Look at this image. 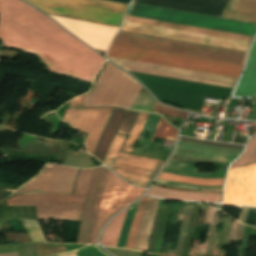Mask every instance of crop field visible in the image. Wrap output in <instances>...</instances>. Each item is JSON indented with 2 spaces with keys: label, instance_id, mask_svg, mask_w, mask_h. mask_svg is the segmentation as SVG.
I'll list each match as a JSON object with an SVG mask.
<instances>
[{
  "label": "crop field",
  "instance_id": "1",
  "mask_svg": "<svg viewBox=\"0 0 256 256\" xmlns=\"http://www.w3.org/2000/svg\"><path fill=\"white\" fill-rule=\"evenodd\" d=\"M4 46L38 55L53 71L92 81L105 59L19 0H0Z\"/></svg>",
  "mask_w": 256,
  "mask_h": 256
},
{
  "label": "crop field",
  "instance_id": "2",
  "mask_svg": "<svg viewBox=\"0 0 256 256\" xmlns=\"http://www.w3.org/2000/svg\"><path fill=\"white\" fill-rule=\"evenodd\" d=\"M145 191L128 185L106 167L93 169L77 243H97L105 222Z\"/></svg>",
  "mask_w": 256,
  "mask_h": 256
},
{
  "label": "crop field",
  "instance_id": "3",
  "mask_svg": "<svg viewBox=\"0 0 256 256\" xmlns=\"http://www.w3.org/2000/svg\"><path fill=\"white\" fill-rule=\"evenodd\" d=\"M124 20L249 41L248 43L246 41H241V40H235V39L127 22V21H124L121 26V30L123 31L135 32V33L243 50V51L246 50L247 43H248V47L246 51H248L249 45L253 38L250 36H244V35H238V34H232V33H226V32L214 31V30H207V29L171 24V23H164V22L128 17V16H125Z\"/></svg>",
  "mask_w": 256,
  "mask_h": 256
},
{
  "label": "crop field",
  "instance_id": "4",
  "mask_svg": "<svg viewBox=\"0 0 256 256\" xmlns=\"http://www.w3.org/2000/svg\"><path fill=\"white\" fill-rule=\"evenodd\" d=\"M92 169L81 170L74 195L55 193H25L7 200L8 206L37 204L39 220L79 221Z\"/></svg>",
  "mask_w": 256,
  "mask_h": 256
},
{
  "label": "crop field",
  "instance_id": "5",
  "mask_svg": "<svg viewBox=\"0 0 256 256\" xmlns=\"http://www.w3.org/2000/svg\"><path fill=\"white\" fill-rule=\"evenodd\" d=\"M114 44L234 63L243 64L245 53L243 51L129 33L119 31Z\"/></svg>",
  "mask_w": 256,
  "mask_h": 256
},
{
  "label": "crop field",
  "instance_id": "6",
  "mask_svg": "<svg viewBox=\"0 0 256 256\" xmlns=\"http://www.w3.org/2000/svg\"><path fill=\"white\" fill-rule=\"evenodd\" d=\"M109 57L229 76L238 78L242 67L240 65L120 46L111 45L107 54Z\"/></svg>",
  "mask_w": 256,
  "mask_h": 256
},
{
  "label": "crop field",
  "instance_id": "7",
  "mask_svg": "<svg viewBox=\"0 0 256 256\" xmlns=\"http://www.w3.org/2000/svg\"><path fill=\"white\" fill-rule=\"evenodd\" d=\"M51 16L118 27L125 4L102 0H26Z\"/></svg>",
  "mask_w": 256,
  "mask_h": 256
},
{
  "label": "crop field",
  "instance_id": "8",
  "mask_svg": "<svg viewBox=\"0 0 256 256\" xmlns=\"http://www.w3.org/2000/svg\"><path fill=\"white\" fill-rule=\"evenodd\" d=\"M141 88L131 76L108 62L84 106L130 109Z\"/></svg>",
  "mask_w": 256,
  "mask_h": 256
},
{
  "label": "crop field",
  "instance_id": "9",
  "mask_svg": "<svg viewBox=\"0 0 256 256\" xmlns=\"http://www.w3.org/2000/svg\"><path fill=\"white\" fill-rule=\"evenodd\" d=\"M126 15L254 36L256 25L131 4Z\"/></svg>",
  "mask_w": 256,
  "mask_h": 256
},
{
  "label": "crop field",
  "instance_id": "10",
  "mask_svg": "<svg viewBox=\"0 0 256 256\" xmlns=\"http://www.w3.org/2000/svg\"><path fill=\"white\" fill-rule=\"evenodd\" d=\"M252 163H256V134L230 169ZM223 203L256 207V164L228 172Z\"/></svg>",
  "mask_w": 256,
  "mask_h": 256
},
{
  "label": "crop field",
  "instance_id": "11",
  "mask_svg": "<svg viewBox=\"0 0 256 256\" xmlns=\"http://www.w3.org/2000/svg\"><path fill=\"white\" fill-rule=\"evenodd\" d=\"M126 138L116 135L103 164L129 182L148 187L163 161L120 152Z\"/></svg>",
  "mask_w": 256,
  "mask_h": 256
},
{
  "label": "crop field",
  "instance_id": "12",
  "mask_svg": "<svg viewBox=\"0 0 256 256\" xmlns=\"http://www.w3.org/2000/svg\"><path fill=\"white\" fill-rule=\"evenodd\" d=\"M109 59H111L119 66L129 71H135V72H141V73H147V74H153V75H159V76L231 87V88L234 87L237 81V79L235 78L145 64V63L115 59V58H109Z\"/></svg>",
  "mask_w": 256,
  "mask_h": 256
},
{
  "label": "crop field",
  "instance_id": "13",
  "mask_svg": "<svg viewBox=\"0 0 256 256\" xmlns=\"http://www.w3.org/2000/svg\"><path fill=\"white\" fill-rule=\"evenodd\" d=\"M77 170L76 168L59 165H46L37 176L18 189L14 194L28 191L72 193Z\"/></svg>",
  "mask_w": 256,
  "mask_h": 256
},
{
  "label": "crop field",
  "instance_id": "14",
  "mask_svg": "<svg viewBox=\"0 0 256 256\" xmlns=\"http://www.w3.org/2000/svg\"><path fill=\"white\" fill-rule=\"evenodd\" d=\"M93 48L106 50L118 28L52 17Z\"/></svg>",
  "mask_w": 256,
  "mask_h": 256
},
{
  "label": "crop field",
  "instance_id": "15",
  "mask_svg": "<svg viewBox=\"0 0 256 256\" xmlns=\"http://www.w3.org/2000/svg\"><path fill=\"white\" fill-rule=\"evenodd\" d=\"M228 0H133L134 3L220 17Z\"/></svg>",
  "mask_w": 256,
  "mask_h": 256
},
{
  "label": "crop field",
  "instance_id": "16",
  "mask_svg": "<svg viewBox=\"0 0 256 256\" xmlns=\"http://www.w3.org/2000/svg\"><path fill=\"white\" fill-rule=\"evenodd\" d=\"M87 94L70 101L62 120L88 133L100 108H83Z\"/></svg>",
  "mask_w": 256,
  "mask_h": 256
},
{
  "label": "crop field",
  "instance_id": "17",
  "mask_svg": "<svg viewBox=\"0 0 256 256\" xmlns=\"http://www.w3.org/2000/svg\"><path fill=\"white\" fill-rule=\"evenodd\" d=\"M158 202V199L148 198L133 249L146 250Z\"/></svg>",
  "mask_w": 256,
  "mask_h": 256
},
{
  "label": "crop field",
  "instance_id": "18",
  "mask_svg": "<svg viewBox=\"0 0 256 256\" xmlns=\"http://www.w3.org/2000/svg\"><path fill=\"white\" fill-rule=\"evenodd\" d=\"M256 94V39L251 49L247 66L234 92V96Z\"/></svg>",
  "mask_w": 256,
  "mask_h": 256
},
{
  "label": "crop field",
  "instance_id": "19",
  "mask_svg": "<svg viewBox=\"0 0 256 256\" xmlns=\"http://www.w3.org/2000/svg\"><path fill=\"white\" fill-rule=\"evenodd\" d=\"M150 196L176 199V200H188V201H202V202H220L221 194H208V193H191L183 191L169 190L153 186L147 193Z\"/></svg>",
  "mask_w": 256,
  "mask_h": 256
},
{
  "label": "crop field",
  "instance_id": "20",
  "mask_svg": "<svg viewBox=\"0 0 256 256\" xmlns=\"http://www.w3.org/2000/svg\"><path fill=\"white\" fill-rule=\"evenodd\" d=\"M221 17L256 22V0H230Z\"/></svg>",
  "mask_w": 256,
  "mask_h": 256
},
{
  "label": "crop field",
  "instance_id": "21",
  "mask_svg": "<svg viewBox=\"0 0 256 256\" xmlns=\"http://www.w3.org/2000/svg\"><path fill=\"white\" fill-rule=\"evenodd\" d=\"M112 109L113 108H101L97 115L94 125H93V127L90 131V134L86 140L87 149L90 154H93V151H94L95 145L98 141V138L100 136V133H101L104 125L106 124Z\"/></svg>",
  "mask_w": 256,
  "mask_h": 256
},
{
  "label": "crop field",
  "instance_id": "22",
  "mask_svg": "<svg viewBox=\"0 0 256 256\" xmlns=\"http://www.w3.org/2000/svg\"><path fill=\"white\" fill-rule=\"evenodd\" d=\"M127 209L116 216L105 229L102 244L116 247Z\"/></svg>",
  "mask_w": 256,
  "mask_h": 256
},
{
  "label": "crop field",
  "instance_id": "23",
  "mask_svg": "<svg viewBox=\"0 0 256 256\" xmlns=\"http://www.w3.org/2000/svg\"><path fill=\"white\" fill-rule=\"evenodd\" d=\"M148 115L149 114H144V113L139 114L122 151L132 153L134 142L138 139L139 134L144 126V123Z\"/></svg>",
  "mask_w": 256,
  "mask_h": 256
},
{
  "label": "crop field",
  "instance_id": "24",
  "mask_svg": "<svg viewBox=\"0 0 256 256\" xmlns=\"http://www.w3.org/2000/svg\"><path fill=\"white\" fill-rule=\"evenodd\" d=\"M158 178L196 185H222L223 181V179H195L164 173H161Z\"/></svg>",
  "mask_w": 256,
  "mask_h": 256
},
{
  "label": "crop field",
  "instance_id": "25",
  "mask_svg": "<svg viewBox=\"0 0 256 256\" xmlns=\"http://www.w3.org/2000/svg\"><path fill=\"white\" fill-rule=\"evenodd\" d=\"M147 198H148L147 196L142 197V199L139 203V206H138V209H137V212H136V215H135V219H134V222H133V225H132V228H131V231H130L128 241H127V244H126L125 248L132 249V247H133L135 235H136V232H137V229H138L141 217H142V213H143Z\"/></svg>",
  "mask_w": 256,
  "mask_h": 256
},
{
  "label": "crop field",
  "instance_id": "26",
  "mask_svg": "<svg viewBox=\"0 0 256 256\" xmlns=\"http://www.w3.org/2000/svg\"><path fill=\"white\" fill-rule=\"evenodd\" d=\"M137 204H138V201L135 204H133L131 207H129V209H128V212H127V215H126V218H125L122 230H121V234H120V238H119L117 247L124 248V246H125L128 230H129L133 215L135 213Z\"/></svg>",
  "mask_w": 256,
  "mask_h": 256
},
{
  "label": "crop field",
  "instance_id": "27",
  "mask_svg": "<svg viewBox=\"0 0 256 256\" xmlns=\"http://www.w3.org/2000/svg\"><path fill=\"white\" fill-rule=\"evenodd\" d=\"M176 132H177L176 129H174L172 126L166 124L163 121V119H161V121H160V123L157 127V131H156L153 139L151 140V142L154 141L155 137L174 141L175 136H176Z\"/></svg>",
  "mask_w": 256,
  "mask_h": 256
},
{
  "label": "crop field",
  "instance_id": "28",
  "mask_svg": "<svg viewBox=\"0 0 256 256\" xmlns=\"http://www.w3.org/2000/svg\"><path fill=\"white\" fill-rule=\"evenodd\" d=\"M77 256H110L99 245H90L76 251Z\"/></svg>",
  "mask_w": 256,
  "mask_h": 256
},
{
  "label": "crop field",
  "instance_id": "29",
  "mask_svg": "<svg viewBox=\"0 0 256 256\" xmlns=\"http://www.w3.org/2000/svg\"><path fill=\"white\" fill-rule=\"evenodd\" d=\"M153 111H156V112H159V113H162V114H166V115L183 117V118H186L187 115H188L187 113H184V112L178 111L176 109L158 104L157 102H156V104L153 108Z\"/></svg>",
  "mask_w": 256,
  "mask_h": 256
},
{
  "label": "crop field",
  "instance_id": "30",
  "mask_svg": "<svg viewBox=\"0 0 256 256\" xmlns=\"http://www.w3.org/2000/svg\"><path fill=\"white\" fill-rule=\"evenodd\" d=\"M17 235L22 243H31V240L28 234H17Z\"/></svg>",
  "mask_w": 256,
  "mask_h": 256
},
{
  "label": "crop field",
  "instance_id": "31",
  "mask_svg": "<svg viewBox=\"0 0 256 256\" xmlns=\"http://www.w3.org/2000/svg\"><path fill=\"white\" fill-rule=\"evenodd\" d=\"M237 136L236 134L232 142L244 144L246 139L237 138Z\"/></svg>",
  "mask_w": 256,
  "mask_h": 256
}]
</instances>
